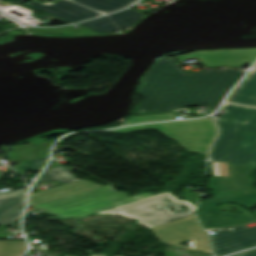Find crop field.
Listing matches in <instances>:
<instances>
[{"mask_svg": "<svg viewBox=\"0 0 256 256\" xmlns=\"http://www.w3.org/2000/svg\"><path fill=\"white\" fill-rule=\"evenodd\" d=\"M245 70H205L185 73L172 59L157 61L143 76L139 95L144 101L137 112L172 111L207 104L210 112Z\"/></svg>", "mask_w": 256, "mask_h": 256, "instance_id": "8a807250", "label": "crop field"}, {"mask_svg": "<svg viewBox=\"0 0 256 256\" xmlns=\"http://www.w3.org/2000/svg\"><path fill=\"white\" fill-rule=\"evenodd\" d=\"M224 112L214 117L219 134L208 160L256 165V109L224 103Z\"/></svg>", "mask_w": 256, "mask_h": 256, "instance_id": "ac0d7876", "label": "crop field"}, {"mask_svg": "<svg viewBox=\"0 0 256 256\" xmlns=\"http://www.w3.org/2000/svg\"><path fill=\"white\" fill-rule=\"evenodd\" d=\"M162 195L163 197H161ZM166 196L169 197L165 198ZM176 197L177 196L171 195L170 192H164L158 195L137 200L98 213H112L124 215L130 218H136L139 219L137 223L143 224L151 228L169 221H173L191 215L190 212L194 210L195 206H193L187 201L177 200ZM153 198L155 200H152ZM166 199H168L169 201H165ZM160 203H162V205H159ZM175 203L186 205L187 208L180 212L175 213L174 211L181 209L179 205H174ZM167 206L175 207V209H173L174 213L168 210L170 208H168Z\"/></svg>", "mask_w": 256, "mask_h": 256, "instance_id": "34b2d1b8", "label": "crop field"}, {"mask_svg": "<svg viewBox=\"0 0 256 256\" xmlns=\"http://www.w3.org/2000/svg\"><path fill=\"white\" fill-rule=\"evenodd\" d=\"M147 128H157L166 136L177 141L183 148L204 155L207 154L210 143L216 134V128L211 118L146 124L111 130V132L123 133Z\"/></svg>", "mask_w": 256, "mask_h": 256, "instance_id": "412701ff", "label": "crop field"}, {"mask_svg": "<svg viewBox=\"0 0 256 256\" xmlns=\"http://www.w3.org/2000/svg\"><path fill=\"white\" fill-rule=\"evenodd\" d=\"M236 202L246 208H253L256 205V191L247 194L217 198L205 202H200L196 212L204 228H217L236 224H247L255 221L244 214H234L231 212L215 211L218 203Z\"/></svg>", "mask_w": 256, "mask_h": 256, "instance_id": "f4fd0767", "label": "crop field"}, {"mask_svg": "<svg viewBox=\"0 0 256 256\" xmlns=\"http://www.w3.org/2000/svg\"><path fill=\"white\" fill-rule=\"evenodd\" d=\"M150 230L159 241L166 244L182 246L177 243L190 239L192 240L190 242L192 248L183 247L191 251L201 250L202 252L210 253L208 238L204 230L199 227L194 215L151 228ZM197 238L199 239L197 240ZM171 239L173 240L170 243Z\"/></svg>", "mask_w": 256, "mask_h": 256, "instance_id": "dd49c442", "label": "crop field"}, {"mask_svg": "<svg viewBox=\"0 0 256 256\" xmlns=\"http://www.w3.org/2000/svg\"><path fill=\"white\" fill-rule=\"evenodd\" d=\"M214 232L215 235H212L211 238L216 256L256 244V226L220 228Z\"/></svg>", "mask_w": 256, "mask_h": 256, "instance_id": "e52e79f7", "label": "crop field"}, {"mask_svg": "<svg viewBox=\"0 0 256 256\" xmlns=\"http://www.w3.org/2000/svg\"><path fill=\"white\" fill-rule=\"evenodd\" d=\"M127 193H120L112 189L111 185L80 193L56 201L48 202L38 206H34L45 211L57 214L64 211L72 210L89 204L97 203L107 199L122 196Z\"/></svg>", "mask_w": 256, "mask_h": 256, "instance_id": "d8731c3e", "label": "crop field"}, {"mask_svg": "<svg viewBox=\"0 0 256 256\" xmlns=\"http://www.w3.org/2000/svg\"><path fill=\"white\" fill-rule=\"evenodd\" d=\"M179 60L189 58H200L206 67L215 68L219 66L241 67L243 62H251L256 59V49L229 50V51H209L196 52L177 57Z\"/></svg>", "mask_w": 256, "mask_h": 256, "instance_id": "5a996713", "label": "crop field"}, {"mask_svg": "<svg viewBox=\"0 0 256 256\" xmlns=\"http://www.w3.org/2000/svg\"><path fill=\"white\" fill-rule=\"evenodd\" d=\"M143 16L128 8L122 12L80 24L101 33H112L131 27Z\"/></svg>", "mask_w": 256, "mask_h": 256, "instance_id": "3316defc", "label": "crop field"}, {"mask_svg": "<svg viewBox=\"0 0 256 256\" xmlns=\"http://www.w3.org/2000/svg\"><path fill=\"white\" fill-rule=\"evenodd\" d=\"M28 4L34 7H37L41 10H44L54 16H57L72 22H77V21L102 15L100 13L78 6L66 0H60L54 4L51 2L41 4L33 0Z\"/></svg>", "mask_w": 256, "mask_h": 256, "instance_id": "28ad6ade", "label": "crop field"}, {"mask_svg": "<svg viewBox=\"0 0 256 256\" xmlns=\"http://www.w3.org/2000/svg\"><path fill=\"white\" fill-rule=\"evenodd\" d=\"M98 187H102V186L94 183H90L88 181L78 180L72 183H68L65 185H61L58 187H54L48 190L31 194L30 205L31 206L38 205L41 203L56 200V199L77 194L80 192L95 189Z\"/></svg>", "mask_w": 256, "mask_h": 256, "instance_id": "d1516ede", "label": "crop field"}, {"mask_svg": "<svg viewBox=\"0 0 256 256\" xmlns=\"http://www.w3.org/2000/svg\"><path fill=\"white\" fill-rule=\"evenodd\" d=\"M25 196V189L0 194V224L15 226L14 220L23 209Z\"/></svg>", "mask_w": 256, "mask_h": 256, "instance_id": "22f410ed", "label": "crop field"}, {"mask_svg": "<svg viewBox=\"0 0 256 256\" xmlns=\"http://www.w3.org/2000/svg\"><path fill=\"white\" fill-rule=\"evenodd\" d=\"M256 107V70H252L226 99Z\"/></svg>", "mask_w": 256, "mask_h": 256, "instance_id": "cbeb9de0", "label": "crop field"}, {"mask_svg": "<svg viewBox=\"0 0 256 256\" xmlns=\"http://www.w3.org/2000/svg\"><path fill=\"white\" fill-rule=\"evenodd\" d=\"M136 195H139V194H136ZM144 197H148V196L141 195V196L127 197L125 195V196H122V197L107 200V201H104V202H100V203H97V204L82 207V208H79V209H75V210L64 212V213L57 214V215H60V216H63V217L86 216V215H89V214H92V213H95V212H98V211H101V210H105V209H108V208H111V207H114V206H118V205H121V204H124V203H127V202H131V201H134V200H137V199H141V198H144ZM119 199H122L124 201H118Z\"/></svg>", "mask_w": 256, "mask_h": 256, "instance_id": "5142ce71", "label": "crop field"}, {"mask_svg": "<svg viewBox=\"0 0 256 256\" xmlns=\"http://www.w3.org/2000/svg\"><path fill=\"white\" fill-rule=\"evenodd\" d=\"M232 185L240 192H251L254 182L249 179V172L256 166L228 163Z\"/></svg>", "mask_w": 256, "mask_h": 256, "instance_id": "d9b57169", "label": "crop field"}, {"mask_svg": "<svg viewBox=\"0 0 256 256\" xmlns=\"http://www.w3.org/2000/svg\"><path fill=\"white\" fill-rule=\"evenodd\" d=\"M52 141H45L39 143L38 146L36 143L23 145L20 147H16L13 149V152H18L17 154L11 155L9 158L15 163H20L24 160L41 157L48 154V149L51 145Z\"/></svg>", "mask_w": 256, "mask_h": 256, "instance_id": "733c2abd", "label": "crop field"}, {"mask_svg": "<svg viewBox=\"0 0 256 256\" xmlns=\"http://www.w3.org/2000/svg\"><path fill=\"white\" fill-rule=\"evenodd\" d=\"M85 6L93 8L104 14L122 9L133 3L135 0H74Z\"/></svg>", "mask_w": 256, "mask_h": 256, "instance_id": "4a817a6b", "label": "crop field"}, {"mask_svg": "<svg viewBox=\"0 0 256 256\" xmlns=\"http://www.w3.org/2000/svg\"><path fill=\"white\" fill-rule=\"evenodd\" d=\"M73 169L69 167H65L63 165L55 166L47 168L46 172L43 173L41 176L38 177L37 182L41 181H51V180H58L62 184L78 180V178L74 177L70 172Z\"/></svg>", "mask_w": 256, "mask_h": 256, "instance_id": "bc2a9ffb", "label": "crop field"}, {"mask_svg": "<svg viewBox=\"0 0 256 256\" xmlns=\"http://www.w3.org/2000/svg\"><path fill=\"white\" fill-rule=\"evenodd\" d=\"M210 189H215L213 194L215 198L239 194L230 183L228 177H212L208 184Z\"/></svg>", "mask_w": 256, "mask_h": 256, "instance_id": "214f88e0", "label": "crop field"}, {"mask_svg": "<svg viewBox=\"0 0 256 256\" xmlns=\"http://www.w3.org/2000/svg\"><path fill=\"white\" fill-rule=\"evenodd\" d=\"M30 32L41 33V34H56V33H97L87 28L81 27L75 29L72 26L63 28H28Z\"/></svg>", "mask_w": 256, "mask_h": 256, "instance_id": "92a150f3", "label": "crop field"}, {"mask_svg": "<svg viewBox=\"0 0 256 256\" xmlns=\"http://www.w3.org/2000/svg\"><path fill=\"white\" fill-rule=\"evenodd\" d=\"M23 250V242L0 241V256H19Z\"/></svg>", "mask_w": 256, "mask_h": 256, "instance_id": "dafd665d", "label": "crop field"}, {"mask_svg": "<svg viewBox=\"0 0 256 256\" xmlns=\"http://www.w3.org/2000/svg\"><path fill=\"white\" fill-rule=\"evenodd\" d=\"M164 119H175V117L173 113L133 116L131 119L127 120L122 125Z\"/></svg>", "mask_w": 256, "mask_h": 256, "instance_id": "00972430", "label": "crop field"}, {"mask_svg": "<svg viewBox=\"0 0 256 256\" xmlns=\"http://www.w3.org/2000/svg\"><path fill=\"white\" fill-rule=\"evenodd\" d=\"M46 161H47V156L37 158V159H33V160H28V161H25V162L21 163L16 168V170L19 174L28 170V169H30L32 171L42 170V168L46 164ZM24 163H26V165H24Z\"/></svg>", "mask_w": 256, "mask_h": 256, "instance_id": "a9b5d70f", "label": "crop field"}, {"mask_svg": "<svg viewBox=\"0 0 256 256\" xmlns=\"http://www.w3.org/2000/svg\"><path fill=\"white\" fill-rule=\"evenodd\" d=\"M233 256H256V251L249 252V253H240Z\"/></svg>", "mask_w": 256, "mask_h": 256, "instance_id": "4177f3b9", "label": "crop field"}, {"mask_svg": "<svg viewBox=\"0 0 256 256\" xmlns=\"http://www.w3.org/2000/svg\"><path fill=\"white\" fill-rule=\"evenodd\" d=\"M90 256H106V255H93L91 251H87Z\"/></svg>", "mask_w": 256, "mask_h": 256, "instance_id": "730fd06b", "label": "crop field"}, {"mask_svg": "<svg viewBox=\"0 0 256 256\" xmlns=\"http://www.w3.org/2000/svg\"><path fill=\"white\" fill-rule=\"evenodd\" d=\"M155 254L153 253V254H151L150 256H154Z\"/></svg>", "mask_w": 256, "mask_h": 256, "instance_id": "eef30255", "label": "crop field"}, {"mask_svg": "<svg viewBox=\"0 0 256 256\" xmlns=\"http://www.w3.org/2000/svg\"><path fill=\"white\" fill-rule=\"evenodd\" d=\"M0 179H2V178L0 177Z\"/></svg>", "mask_w": 256, "mask_h": 256, "instance_id": "ae1a2a85", "label": "crop field"}, {"mask_svg": "<svg viewBox=\"0 0 256 256\" xmlns=\"http://www.w3.org/2000/svg\"><path fill=\"white\" fill-rule=\"evenodd\" d=\"M255 68H256V66H255Z\"/></svg>", "mask_w": 256, "mask_h": 256, "instance_id": "d3111659", "label": "crop field"}]
</instances>
